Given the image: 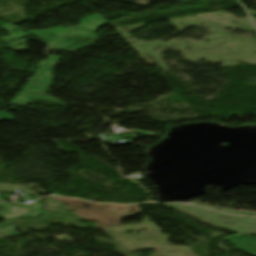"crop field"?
Instances as JSON below:
<instances>
[{"label": "crop field", "instance_id": "obj_1", "mask_svg": "<svg viewBox=\"0 0 256 256\" xmlns=\"http://www.w3.org/2000/svg\"><path fill=\"white\" fill-rule=\"evenodd\" d=\"M231 245L236 249L247 254L256 256V238L247 236H238L229 238Z\"/></svg>", "mask_w": 256, "mask_h": 256}, {"label": "crop field", "instance_id": "obj_2", "mask_svg": "<svg viewBox=\"0 0 256 256\" xmlns=\"http://www.w3.org/2000/svg\"><path fill=\"white\" fill-rule=\"evenodd\" d=\"M11 109H14V108H11ZM11 109H9V110H11ZM7 111H8V110H7ZM3 119H6V120H8V121H13V120H14V118L8 116L5 111L0 112V120H3Z\"/></svg>", "mask_w": 256, "mask_h": 256}]
</instances>
